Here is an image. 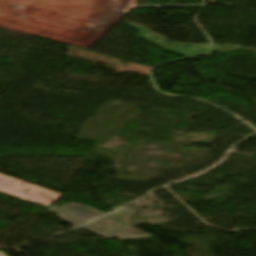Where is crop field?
<instances>
[{"label": "crop field", "instance_id": "obj_1", "mask_svg": "<svg viewBox=\"0 0 256 256\" xmlns=\"http://www.w3.org/2000/svg\"><path fill=\"white\" fill-rule=\"evenodd\" d=\"M0 192L47 206L61 194L48 191L31 184L0 174Z\"/></svg>", "mask_w": 256, "mask_h": 256}, {"label": "crop field", "instance_id": "obj_2", "mask_svg": "<svg viewBox=\"0 0 256 256\" xmlns=\"http://www.w3.org/2000/svg\"><path fill=\"white\" fill-rule=\"evenodd\" d=\"M62 210L67 212L69 215H71L74 218H78L84 222H88L92 219H95L97 217H100L104 215L103 213L87 207L82 204H77V203H68L60 207Z\"/></svg>", "mask_w": 256, "mask_h": 256}, {"label": "crop field", "instance_id": "obj_3", "mask_svg": "<svg viewBox=\"0 0 256 256\" xmlns=\"http://www.w3.org/2000/svg\"><path fill=\"white\" fill-rule=\"evenodd\" d=\"M90 225L108 233L124 224L119 221H116L112 218H109L107 216H104V217L90 223Z\"/></svg>", "mask_w": 256, "mask_h": 256}, {"label": "crop field", "instance_id": "obj_4", "mask_svg": "<svg viewBox=\"0 0 256 256\" xmlns=\"http://www.w3.org/2000/svg\"><path fill=\"white\" fill-rule=\"evenodd\" d=\"M117 238H127V237H140V236H147V234L136 230L130 226H123L119 229H116L110 233H108Z\"/></svg>", "mask_w": 256, "mask_h": 256}, {"label": "crop field", "instance_id": "obj_5", "mask_svg": "<svg viewBox=\"0 0 256 256\" xmlns=\"http://www.w3.org/2000/svg\"><path fill=\"white\" fill-rule=\"evenodd\" d=\"M52 213H54L57 217L63 219L64 221L72 224L73 226H78L84 222L78 221L74 218H72L71 216H69L68 214H66L65 212H63L61 209H59L58 207H55L53 209L50 210Z\"/></svg>", "mask_w": 256, "mask_h": 256}, {"label": "crop field", "instance_id": "obj_6", "mask_svg": "<svg viewBox=\"0 0 256 256\" xmlns=\"http://www.w3.org/2000/svg\"><path fill=\"white\" fill-rule=\"evenodd\" d=\"M82 227H84V228H86V229H88V230H90V231H92V232H94V233H96V234H98V235H101V236H103V237L113 238V237L107 235L106 233H104V232H102V231H100V230H98V229H96V228H94V227H92V226H90V225H88V224H87V225H84V226H82Z\"/></svg>", "mask_w": 256, "mask_h": 256}, {"label": "crop field", "instance_id": "obj_7", "mask_svg": "<svg viewBox=\"0 0 256 256\" xmlns=\"http://www.w3.org/2000/svg\"><path fill=\"white\" fill-rule=\"evenodd\" d=\"M0 256H6L3 252H0Z\"/></svg>", "mask_w": 256, "mask_h": 256}]
</instances>
